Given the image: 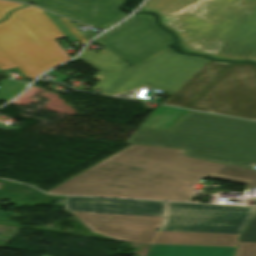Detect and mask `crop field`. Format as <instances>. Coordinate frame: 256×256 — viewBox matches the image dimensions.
<instances>
[{
    "instance_id": "crop-field-9",
    "label": "crop field",
    "mask_w": 256,
    "mask_h": 256,
    "mask_svg": "<svg viewBox=\"0 0 256 256\" xmlns=\"http://www.w3.org/2000/svg\"><path fill=\"white\" fill-rule=\"evenodd\" d=\"M123 0H35L33 4L65 17L107 28L127 14L116 10Z\"/></svg>"
},
{
    "instance_id": "crop-field-17",
    "label": "crop field",
    "mask_w": 256,
    "mask_h": 256,
    "mask_svg": "<svg viewBox=\"0 0 256 256\" xmlns=\"http://www.w3.org/2000/svg\"><path fill=\"white\" fill-rule=\"evenodd\" d=\"M24 4H17L11 2L0 1V20L4 18L5 14L19 6H23Z\"/></svg>"
},
{
    "instance_id": "crop-field-10",
    "label": "crop field",
    "mask_w": 256,
    "mask_h": 256,
    "mask_svg": "<svg viewBox=\"0 0 256 256\" xmlns=\"http://www.w3.org/2000/svg\"><path fill=\"white\" fill-rule=\"evenodd\" d=\"M236 248L151 245L147 256H233Z\"/></svg>"
},
{
    "instance_id": "crop-field-2",
    "label": "crop field",
    "mask_w": 256,
    "mask_h": 256,
    "mask_svg": "<svg viewBox=\"0 0 256 256\" xmlns=\"http://www.w3.org/2000/svg\"><path fill=\"white\" fill-rule=\"evenodd\" d=\"M185 152L132 145L46 193L188 201L189 184L206 177L256 188V171L183 156Z\"/></svg>"
},
{
    "instance_id": "crop-field-5",
    "label": "crop field",
    "mask_w": 256,
    "mask_h": 256,
    "mask_svg": "<svg viewBox=\"0 0 256 256\" xmlns=\"http://www.w3.org/2000/svg\"><path fill=\"white\" fill-rule=\"evenodd\" d=\"M63 34L41 9L28 6L0 22V69L18 67L26 78L70 59L53 39Z\"/></svg>"
},
{
    "instance_id": "crop-field-8",
    "label": "crop field",
    "mask_w": 256,
    "mask_h": 256,
    "mask_svg": "<svg viewBox=\"0 0 256 256\" xmlns=\"http://www.w3.org/2000/svg\"><path fill=\"white\" fill-rule=\"evenodd\" d=\"M94 41L131 66L173 44L168 33L156 27L153 17L145 14H136Z\"/></svg>"
},
{
    "instance_id": "crop-field-16",
    "label": "crop field",
    "mask_w": 256,
    "mask_h": 256,
    "mask_svg": "<svg viewBox=\"0 0 256 256\" xmlns=\"http://www.w3.org/2000/svg\"><path fill=\"white\" fill-rule=\"evenodd\" d=\"M46 14L51 18V20L61 30V32L65 35V37L68 39V41L70 43L77 41V39L74 37V35L66 28V26L59 20V18L56 15L49 13V12H46Z\"/></svg>"
},
{
    "instance_id": "crop-field-21",
    "label": "crop field",
    "mask_w": 256,
    "mask_h": 256,
    "mask_svg": "<svg viewBox=\"0 0 256 256\" xmlns=\"http://www.w3.org/2000/svg\"><path fill=\"white\" fill-rule=\"evenodd\" d=\"M1 71V70H0Z\"/></svg>"
},
{
    "instance_id": "crop-field-15",
    "label": "crop field",
    "mask_w": 256,
    "mask_h": 256,
    "mask_svg": "<svg viewBox=\"0 0 256 256\" xmlns=\"http://www.w3.org/2000/svg\"><path fill=\"white\" fill-rule=\"evenodd\" d=\"M234 256H256V243L239 242Z\"/></svg>"
},
{
    "instance_id": "crop-field-3",
    "label": "crop field",
    "mask_w": 256,
    "mask_h": 256,
    "mask_svg": "<svg viewBox=\"0 0 256 256\" xmlns=\"http://www.w3.org/2000/svg\"><path fill=\"white\" fill-rule=\"evenodd\" d=\"M145 7L194 51L256 60V0H151Z\"/></svg>"
},
{
    "instance_id": "crop-field-7",
    "label": "crop field",
    "mask_w": 256,
    "mask_h": 256,
    "mask_svg": "<svg viewBox=\"0 0 256 256\" xmlns=\"http://www.w3.org/2000/svg\"><path fill=\"white\" fill-rule=\"evenodd\" d=\"M165 202L65 197V210L116 216L94 232L130 242L150 244L160 227Z\"/></svg>"
},
{
    "instance_id": "crop-field-4",
    "label": "crop field",
    "mask_w": 256,
    "mask_h": 256,
    "mask_svg": "<svg viewBox=\"0 0 256 256\" xmlns=\"http://www.w3.org/2000/svg\"><path fill=\"white\" fill-rule=\"evenodd\" d=\"M128 144L188 149L185 155L220 164H256V122L188 111L170 132L139 127Z\"/></svg>"
},
{
    "instance_id": "crop-field-18",
    "label": "crop field",
    "mask_w": 256,
    "mask_h": 256,
    "mask_svg": "<svg viewBox=\"0 0 256 256\" xmlns=\"http://www.w3.org/2000/svg\"><path fill=\"white\" fill-rule=\"evenodd\" d=\"M141 10L152 11V10L146 9V8H144V7H143ZM153 12H155V11H153ZM156 13H158V12H156ZM158 14H159L160 21H161L162 25H164L160 13H158ZM164 26H165V25H164ZM166 27H167V26H166ZM168 28H169V27H168ZM170 29H171V28H170ZM173 31H174V30H173ZM174 32L178 34V32H176V31H174ZM178 39H179L180 46H181V48H182L183 50H186V51H189V52H193V53H198V52H194V51L190 50L189 48H187V47L184 45V43L182 42V40H181L179 34H178ZM200 54H202V53H200ZM206 55H207V54H206ZM209 56L214 57V58H222V57H217V56H212V55H209ZM224 59H226V58H224ZM230 60H233V59H230ZM251 61H253V60H251ZM255 62H256V61H255Z\"/></svg>"
},
{
    "instance_id": "crop-field-14",
    "label": "crop field",
    "mask_w": 256,
    "mask_h": 256,
    "mask_svg": "<svg viewBox=\"0 0 256 256\" xmlns=\"http://www.w3.org/2000/svg\"><path fill=\"white\" fill-rule=\"evenodd\" d=\"M239 241L256 242V214L243 231Z\"/></svg>"
},
{
    "instance_id": "crop-field-20",
    "label": "crop field",
    "mask_w": 256,
    "mask_h": 256,
    "mask_svg": "<svg viewBox=\"0 0 256 256\" xmlns=\"http://www.w3.org/2000/svg\"><path fill=\"white\" fill-rule=\"evenodd\" d=\"M19 1H26V2H29L30 0H19Z\"/></svg>"
},
{
    "instance_id": "crop-field-6",
    "label": "crop field",
    "mask_w": 256,
    "mask_h": 256,
    "mask_svg": "<svg viewBox=\"0 0 256 256\" xmlns=\"http://www.w3.org/2000/svg\"><path fill=\"white\" fill-rule=\"evenodd\" d=\"M256 208L167 202L151 244L234 246Z\"/></svg>"
},
{
    "instance_id": "crop-field-12",
    "label": "crop field",
    "mask_w": 256,
    "mask_h": 256,
    "mask_svg": "<svg viewBox=\"0 0 256 256\" xmlns=\"http://www.w3.org/2000/svg\"><path fill=\"white\" fill-rule=\"evenodd\" d=\"M0 85V101L6 102L20 93L28 84L5 80Z\"/></svg>"
},
{
    "instance_id": "crop-field-19",
    "label": "crop field",
    "mask_w": 256,
    "mask_h": 256,
    "mask_svg": "<svg viewBox=\"0 0 256 256\" xmlns=\"http://www.w3.org/2000/svg\"><path fill=\"white\" fill-rule=\"evenodd\" d=\"M8 215V212L0 211V220H6L8 218Z\"/></svg>"
},
{
    "instance_id": "crop-field-13",
    "label": "crop field",
    "mask_w": 256,
    "mask_h": 256,
    "mask_svg": "<svg viewBox=\"0 0 256 256\" xmlns=\"http://www.w3.org/2000/svg\"><path fill=\"white\" fill-rule=\"evenodd\" d=\"M73 215H75L90 231L95 230L96 228H98L99 226H101L102 224H104L105 222L113 218L110 216H100V215H90V214H73ZM116 240H119V239H116ZM120 241H123V240H120Z\"/></svg>"
},
{
    "instance_id": "crop-field-1",
    "label": "crop field",
    "mask_w": 256,
    "mask_h": 256,
    "mask_svg": "<svg viewBox=\"0 0 256 256\" xmlns=\"http://www.w3.org/2000/svg\"><path fill=\"white\" fill-rule=\"evenodd\" d=\"M98 72L95 89L114 95L148 84L169 91L163 104L256 119V66L213 62L170 47L129 66L107 49L77 57Z\"/></svg>"
},
{
    "instance_id": "crop-field-11",
    "label": "crop field",
    "mask_w": 256,
    "mask_h": 256,
    "mask_svg": "<svg viewBox=\"0 0 256 256\" xmlns=\"http://www.w3.org/2000/svg\"><path fill=\"white\" fill-rule=\"evenodd\" d=\"M186 112V110L158 106L141 126L170 132Z\"/></svg>"
}]
</instances>
